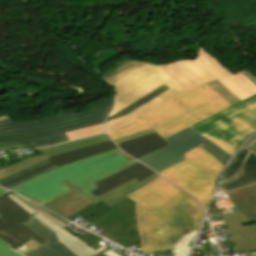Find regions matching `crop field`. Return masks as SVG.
I'll use <instances>...</instances> for the list:
<instances>
[{
  "label": "crop field",
  "mask_w": 256,
  "mask_h": 256,
  "mask_svg": "<svg viewBox=\"0 0 256 256\" xmlns=\"http://www.w3.org/2000/svg\"><path fill=\"white\" fill-rule=\"evenodd\" d=\"M127 196L136 202L140 248L145 254L174 246L199 228L204 215L193 196L161 176Z\"/></svg>",
  "instance_id": "obj_1"
},
{
  "label": "crop field",
  "mask_w": 256,
  "mask_h": 256,
  "mask_svg": "<svg viewBox=\"0 0 256 256\" xmlns=\"http://www.w3.org/2000/svg\"><path fill=\"white\" fill-rule=\"evenodd\" d=\"M135 163L137 162L117 148L66 166L58 167L29 182L22 185L19 184L20 186L10 190L44 205L73 191L61 182L66 179L79 191L97 203L101 200L89 192L96 188L93 183Z\"/></svg>",
  "instance_id": "obj_2"
},
{
  "label": "crop field",
  "mask_w": 256,
  "mask_h": 256,
  "mask_svg": "<svg viewBox=\"0 0 256 256\" xmlns=\"http://www.w3.org/2000/svg\"><path fill=\"white\" fill-rule=\"evenodd\" d=\"M113 97L83 111L57 113L39 119L13 121L9 115L0 116V146L27 143L31 149L68 141L64 132L103 123L112 107Z\"/></svg>",
  "instance_id": "obj_3"
},
{
  "label": "crop field",
  "mask_w": 256,
  "mask_h": 256,
  "mask_svg": "<svg viewBox=\"0 0 256 256\" xmlns=\"http://www.w3.org/2000/svg\"><path fill=\"white\" fill-rule=\"evenodd\" d=\"M228 106L230 104L203 84L140 116L144 124L111 137L115 140L153 128L164 139Z\"/></svg>",
  "instance_id": "obj_4"
},
{
  "label": "crop field",
  "mask_w": 256,
  "mask_h": 256,
  "mask_svg": "<svg viewBox=\"0 0 256 256\" xmlns=\"http://www.w3.org/2000/svg\"><path fill=\"white\" fill-rule=\"evenodd\" d=\"M242 101L191 126L228 154H232L245 140L256 132L249 123L256 120V86L242 73L218 79Z\"/></svg>",
  "instance_id": "obj_5"
},
{
  "label": "crop field",
  "mask_w": 256,
  "mask_h": 256,
  "mask_svg": "<svg viewBox=\"0 0 256 256\" xmlns=\"http://www.w3.org/2000/svg\"><path fill=\"white\" fill-rule=\"evenodd\" d=\"M105 79L117 90L110 116L164 84L170 89L157 96L163 101L182 92L159 68L147 62L131 61L117 68Z\"/></svg>",
  "instance_id": "obj_6"
},
{
  "label": "crop field",
  "mask_w": 256,
  "mask_h": 256,
  "mask_svg": "<svg viewBox=\"0 0 256 256\" xmlns=\"http://www.w3.org/2000/svg\"><path fill=\"white\" fill-rule=\"evenodd\" d=\"M183 155L187 160L160 173L195 195L206 209L224 165L200 146Z\"/></svg>",
  "instance_id": "obj_7"
},
{
  "label": "crop field",
  "mask_w": 256,
  "mask_h": 256,
  "mask_svg": "<svg viewBox=\"0 0 256 256\" xmlns=\"http://www.w3.org/2000/svg\"><path fill=\"white\" fill-rule=\"evenodd\" d=\"M78 216L94 222L93 224L104 231L99 235L124 247L140 242L135 202L128 197L110 207L102 201L95 205L91 204L67 219L72 221Z\"/></svg>",
  "instance_id": "obj_8"
},
{
  "label": "crop field",
  "mask_w": 256,
  "mask_h": 256,
  "mask_svg": "<svg viewBox=\"0 0 256 256\" xmlns=\"http://www.w3.org/2000/svg\"><path fill=\"white\" fill-rule=\"evenodd\" d=\"M227 195L241 211L222 216L235 243L228 250H256V184Z\"/></svg>",
  "instance_id": "obj_9"
},
{
  "label": "crop field",
  "mask_w": 256,
  "mask_h": 256,
  "mask_svg": "<svg viewBox=\"0 0 256 256\" xmlns=\"http://www.w3.org/2000/svg\"><path fill=\"white\" fill-rule=\"evenodd\" d=\"M165 141L170 145L152 152L138 160L160 172L185 160L181 154L199 145L224 165L230 156L206 137L198 135L190 127L165 139Z\"/></svg>",
  "instance_id": "obj_10"
},
{
  "label": "crop field",
  "mask_w": 256,
  "mask_h": 256,
  "mask_svg": "<svg viewBox=\"0 0 256 256\" xmlns=\"http://www.w3.org/2000/svg\"><path fill=\"white\" fill-rule=\"evenodd\" d=\"M158 67L183 91L214 78L232 75L202 47L194 60L176 61Z\"/></svg>",
  "instance_id": "obj_11"
},
{
  "label": "crop field",
  "mask_w": 256,
  "mask_h": 256,
  "mask_svg": "<svg viewBox=\"0 0 256 256\" xmlns=\"http://www.w3.org/2000/svg\"><path fill=\"white\" fill-rule=\"evenodd\" d=\"M0 214L4 217L0 220V238L16 248L29 239L38 243L45 242L21 223L32 217L7 197L0 196Z\"/></svg>",
  "instance_id": "obj_12"
},
{
  "label": "crop field",
  "mask_w": 256,
  "mask_h": 256,
  "mask_svg": "<svg viewBox=\"0 0 256 256\" xmlns=\"http://www.w3.org/2000/svg\"><path fill=\"white\" fill-rule=\"evenodd\" d=\"M6 196L8 198H10L12 201H14L16 204H18L25 211H27L29 214L36 217L38 220H40L42 223H44L46 226H48L51 230H53L56 233L59 242L63 243L66 247H68L77 256H94V255L98 254L99 251L107 248L104 245V246L98 248L96 251L93 250L88 245H86L85 243L80 241L76 236H73L72 234L68 233L66 230L60 228L55 223H53L52 221L47 219L45 216L38 213L30 205H28L26 202H24L22 199H20L15 194L9 193V194H6Z\"/></svg>",
  "instance_id": "obj_13"
},
{
  "label": "crop field",
  "mask_w": 256,
  "mask_h": 256,
  "mask_svg": "<svg viewBox=\"0 0 256 256\" xmlns=\"http://www.w3.org/2000/svg\"><path fill=\"white\" fill-rule=\"evenodd\" d=\"M114 148H117V146L112 142V140H110V141L102 142L99 144L91 145L88 147L80 148L77 150L69 151L66 153L58 154L55 156L47 157L52 163L42 166L32 172H29V173L21 176V177H18L14 180H11L9 182H6V183L0 184V185L5 187L7 185L18 182L26 177H29L33 174H36V173H38L46 168H49L53 165H55L56 167L66 165V164H69V163H72V162L105 152V151H108L111 149H114Z\"/></svg>",
  "instance_id": "obj_14"
},
{
  "label": "crop field",
  "mask_w": 256,
  "mask_h": 256,
  "mask_svg": "<svg viewBox=\"0 0 256 256\" xmlns=\"http://www.w3.org/2000/svg\"><path fill=\"white\" fill-rule=\"evenodd\" d=\"M22 224L47 241L46 243L38 246L24 256H76L63 244L58 242L54 232H52L49 228H47L34 217L30 218ZM96 256L105 255L98 254Z\"/></svg>",
  "instance_id": "obj_15"
},
{
  "label": "crop field",
  "mask_w": 256,
  "mask_h": 256,
  "mask_svg": "<svg viewBox=\"0 0 256 256\" xmlns=\"http://www.w3.org/2000/svg\"><path fill=\"white\" fill-rule=\"evenodd\" d=\"M152 170L149 168L137 163L125 170H122L110 177H107L97 183L95 185L98 187L97 189L91 191L96 197L109 191L110 189L136 177L138 182L143 180L144 178L153 174Z\"/></svg>",
  "instance_id": "obj_16"
},
{
  "label": "crop field",
  "mask_w": 256,
  "mask_h": 256,
  "mask_svg": "<svg viewBox=\"0 0 256 256\" xmlns=\"http://www.w3.org/2000/svg\"><path fill=\"white\" fill-rule=\"evenodd\" d=\"M63 182L75 191L44 205L45 207L65 217H68L91 203L95 204L93 201H91L89 198L79 192L76 188H74L66 180Z\"/></svg>",
  "instance_id": "obj_17"
},
{
  "label": "crop field",
  "mask_w": 256,
  "mask_h": 256,
  "mask_svg": "<svg viewBox=\"0 0 256 256\" xmlns=\"http://www.w3.org/2000/svg\"><path fill=\"white\" fill-rule=\"evenodd\" d=\"M166 145L168 143L156 133L118 144L123 151L136 159Z\"/></svg>",
  "instance_id": "obj_18"
},
{
  "label": "crop field",
  "mask_w": 256,
  "mask_h": 256,
  "mask_svg": "<svg viewBox=\"0 0 256 256\" xmlns=\"http://www.w3.org/2000/svg\"><path fill=\"white\" fill-rule=\"evenodd\" d=\"M252 183H256V154L251 151L240 172L232 179L222 183L219 190H233Z\"/></svg>",
  "instance_id": "obj_19"
},
{
  "label": "crop field",
  "mask_w": 256,
  "mask_h": 256,
  "mask_svg": "<svg viewBox=\"0 0 256 256\" xmlns=\"http://www.w3.org/2000/svg\"><path fill=\"white\" fill-rule=\"evenodd\" d=\"M160 175L158 174H153L150 177L144 179L141 182H137L136 178L97 197L99 199H101L102 201H104L106 204H108L109 206L118 202L119 200L127 197L126 195L139 189L140 187L144 186L145 184H147L148 182L152 181L153 179H155L156 177H158Z\"/></svg>",
  "instance_id": "obj_20"
},
{
  "label": "crop field",
  "mask_w": 256,
  "mask_h": 256,
  "mask_svg": "<svg viewBox=\"0 0 256 256\" xmlns=\"http://www.w3.org/2000/svg\"><path fill=\"white\" fill-rule=\"evenodd\" d=\"M106 140H110V138L106 134H100V135H96V136H92V137H88V138H84V139H80V140H76V141H72V142H68V143H64V144H60V145H56V146H52V147H48V148H44V149H40L39 151L45 157H47V156L55 155L58 153L66 152L69 150L77 149L80 147L88 146L91 144L99 143L102 141H106Z\"/></svg>",
  "instance_id": "obj_21"
},
{
  "label": "crop field",
  "mask_w": 256,
  "mask_h": 256,
  "mask_svg": "<svg viewBox=\"0 0 256 256\" xmlns=\"http://www.w3.org/2000/svg\"><path fill=\"white\" fill-rule=\"evenodd\" d=\"M163 101H161L159 98H154L152 100H150L149 102L143 104L142 106H140L139 108L135 109L134 111H132L131 113L120 117V118H116L112 121H109L107 123H105L106 126V130H110L113 129L117 126H120L124 123H127L131 120H133L134 118L142 115L143 113L147 112L148 110H150L151 108L155 107L156 105H158L159 103H161Z\"/></svg>",
  "instance_id": "obj_22"
},
{
  "label": "crop field",
  "mask_w": 256,
  "mask_h": 256,
  "mask_svg": "<svg viewBox=\"0 0 256 256\" xmlns=\"http://www.w3.org/2000/svg\"><path fill=\"white\" fill-rule=\"evenodd\" d=\"M197 231L184 236L174 247L166 251L169 252L173 250L178 256H188Z\"/></svg>",
  "instance_id": "obj_23"
},
{
  "label": "crop field",
  "mask_w": 256,
  "mask_h": 256,
  "mask_svg": "<svg viewBox=\"0 0 256 256\" xmlns=\"http://www.w3.org/2000/svg\"><path fill=\"white\" fill-rule=\"evenodd\" d=\"M167 89H169V88L166 87L165 85L160 87L159 89L155 90L154 92L150 93L149 95L145 96L144 98L140 99L139 101L133 103L132 105L128 106L127 108L123 109L122 111H120L117 114L113 115L112 117L108 118L107 121L112 120V119H114L116 117H119V116H123V115L131 112L135 108L139 107L140 105L149 101L150 99L156 97L157 95L161 94L162 92H164Z\"/></svg>",
  "instance_id": "obj_24"
},
{
  "label": "crop field",
  "mask_w": 256,
  "mask_h": 256,
  "mask_svg": "<svg viewBox=\"0 0 256 256\" xmlns=\"http://www.w3.org/2000/svg\"><path fill=\"white\" fill-rule=\"evenodd\" d=\"M249 148L246 146L238 153V155L235 157V159L232 161L229 169L226 171L224 178L222 180L225 181L231 177H233L240 169L245 157L247 156L249 152Z\"/></svg>",
  "instance_id": "obj_25"
},
{
  "label": "crop field",
  "mask_w": 256,
  "mask_h": 256,
  "mask_svg": "<svg viewBox=\"0 0 256 256\" xmlns=\"http://www.w3.org/2000/svg\"><path fill=\"white\" fill-rule=\"evenodd\" d=\"M210 88H212L216 93H218L222 98H224L231 105L240 101L233 93H231L227 88H225L217 80L210 83H206Z\"/></svg>",
  "instance_id": "obj_26"
},
{
  "label": "crop field",
  "mask_w": 256,
  "mask_h": 256,
  "mask_svg": "<svg viewBox=\"0 0 256 256\" xmlns=\"http://www.w3.org/2000/svg\"><path fill=\"white\" fill-rule=\"evenodd\" d=\"M102 132H104L103 124L67 132L66 135L68 136L69 140H72V139L90 136V135H94Z\"/></svg>",
  "instance_id": "obj_27"
},
{
  "label": "crop field",
  "mask_w": 256,
  "mask_h": 256,
  "mask_svg": "<svg viewBox=\"0 0 256 256\" xmlns=\"http://www.w3.org/2000/svg\"><path fill=\"white\" fill-rule=\"evenodd\" d=\"M9 192L0 188V195L6 194ZM1 218L2 216L0 215V219ZM8 247H10V245H8L5 241L0 239V256H20L17 253H15L13 250L9 249Z\"/></svg>",
  "instance_id": "obj_28"
},
{
  "label": "crop field",
  "mask_w": 256,
  "mask_h": 256,
  "mask_svg": "<svg viewBox=\"0 0 256 256\" xmlns=\"http://www.w3.org/2000/svg\"><path fill=\"white\" fill-rule=\"evenodd\" d=\"M38 244L37 242H35L34 240H29L26 243H24L23 245L19 246L18 248L14 249L16 251H18L21 254H26L27 252H29L30 250L34 249L35 247H37Z\"/></svg>",
  "instance_id": "obj_29"
},
{
  "label": "crop field",
  "mask_w": 256,
  "mask_h": 256,
  "mask_svg": "<svg viewBox=\"0 0 256 256\" xmlns=\"http://www.w3.org/2000/svg\"><path fill=\"white\" fill-rule=\"evenodd\" d=\"M47 163H50V161H49L48 159H46V160H44V161H42V162H40V163H38V164H36V165H34V166H32V167L26 169V170H24V171H22V172H20V173H18V174H16V175H13V176H11V177H7V178L2 179V180H0V183L9 181V180H11V179H14V178H16V177H18V176H21V175H23V174H25V173H27V172H29V171H32V170H34V169H36V168H38V167H40V166H42V165H45V164H47Z\"/></svg>",
  "instance_id": "obj_30"
},
{
  "label": "crop field",
  "mask_w": 256,
  "mask_h": 256,
  "mask_svg": "<svg viewBox=\"0 0 256 256\" xmlns=\"http://www.w3.org/2000/svg\"><path fill=\"white\" fill-rule=\"evenodd\" d=\"M79 239L82 240L83 242H85L86 244H88L89 246H91L95 242L99 241L101 238L96 236V235H93V234L87 232L86 234H84Z\"/></svg>",
  "instance_id": "obj_31"
},
{
  "label": "crop field",
  "mask_w": 256,
  "mask_h": 256,
  "mask_svg": "<svg viewBox=\"0 0 256 256\" xmlns=\"http://www.w3.org/2000/svg\"><path fill=\"white\" fill-rule=\"evenodd\" d=\"M140 124H142V122L137 118L136 120H134L132 122H129V123L125 124V125H122V126L116 128V129H114V130H112V131H110L108 133H109V135H111V134H114L116 132H119V131H122V130H125V129H128V128H131V127H134V126H137V125H140Z\"/></svg>",
  "instance_id": "obj_32"
},
{
  "label": "crop field",
  "mask_w": 256,
  "mask_h": 256,
  "mask_svg": "<svg viewBox=\"0 0 256 256\" xmlns=\"http://www.w3.org/2000/svg\"><path fill=\"white\" fill-rule=\"evenodd\" d=\"M23 200H25L28 204H30L34 209H36L37 211H39L40 213H42L43 215H45L47 218H49L50 220H52L53 222H55L57 225H59L60 227H65L67 224L51 217L50 215L47 214V212L43 211L42 209L36 207V205L30 203L28 200L22 198Z\"/></svg>",
  "instance_id": "obj_33"
},
{
  "label": "crop field",
  "mask_w": 256,
  "mask_h": 256,
  "mask_svg": "<svg viewBox=\"0 0 256 256\" xmlns=\"http://www.w3.org/2000/svg\"><path fill=\"white\" fill-rule=\"evenodd\" d=\"M150 133H154L153 129L148 130V131H145V132H142V133H139V134H136V135H133V136H130V137H127V138L115 140L114 142H115L116 144H118V143H121V142L130 140V139H134V138H137V137H140V136H144V135L150 134Z\"/></svg>",
  "instance_id": "obj_34"
},
{
  "label": "crop field",
  "mask_w": 256,
  "mask_h": 256,
  "mask_svg": "<svg viewBox=\"0 0 256 256\" xmlns=\"http://www.w3.org/2000/svg\"><path fill=\"white\" fill-rule=\"evenodd\" d=\"M130 61L129 59H124L116 64H114L113 66H111L108 70H106L101 76H103L104 78L110 73L112 72L114 69H116L117 67L123 65L124 63Z\"/></svg>",
  "instance_id": "obj_35"
},
{
  "label": "crop field",
  "mask_w": 256,
  "mask_h": 256,
  "mask_svg": "<svg viewBox=\"0 0 256 256\" xmlns=\"http://www.w3.org/2000/svg\"><path fill=\"white\" fill-rule=\"evenodd\" d=\"M53 168H55V166H53V167H51V168H49V169H47V170H45V171H43V172H41V173H39V174L33 175V176H31V177H29V178H27V179H25V180H23V181H21V182L15 183V184L10 185V186H7V187H5V188L10 189V188H12V187H14V186H16V185H19V184H22V183H24V182H26V181H29V180H31V179H33V178H35V177H37V176H39V175H41V174H43V173H45V172H47V171L53 169Z\"/></svg>",
  "instance_id": "obj_36"
},
{
  "label": "crop field",
  "mask_w": 256,
  "mask_h": 256,
  "mask_svg": "<svg viewBox=\"0 0 256 256\" xmlns=\"http://www.w3.org/2000/svg\"><path fill=\"white\" fill-rule=\"evenodd\" d=\"M246 146L256 153V136Z\"/></svg>",
  "instance_id": "obj_37"
},
{
  "label": "crop field",
  "mask_w": 256,
  "mask_h": 256,
  "mask_svg": "<svg viewBox=\"0 0 256 256\" xmlns=\"http://www.w3.org/2000/svg\"><path fill=\"white\" fill-rule=\"evenodd\" d=\"M254 85H256V78H254L253 76H251L248 73H243Z\"/></svg>",
  "instance_id": "obj_38"
},
{
  "label": "crop field",
  "mask_w": 256,
  "mask_h": 256,
  "mask_svg": "<svg viewBox=\"0 0 256 256\" xmlns=\"http://www.w3.org/2000/svg\"><path fill=\"white\" fill-rule=\"evenodd\" d=\"M103 254H105V255H107V256H121V255L115 253L114 251H112L111 249L108 250V251H106V252L103 253Z\"/></svg>",
  "instance_id": "obj_39"
},
{
  "label": "crop field",
  "mask_w": 256,
  "mask_h": 256,
  "mask_svg": "<svg viewBox=\"0 0 256 256\" xmlns=\"http://www.w3.org/2000/svg\"><path fill=\"white\" fill-rule=\"evenodd\" d=\"M41 208V207H40ZM43 209V208H42ZM46 211V210H45ZM48 212V211H47ZM48 214H50L51 216H53V217H55V218H57V219H59V220H61V221H63V222H65V223H69V222H67V221H65V220H63V219H61V218H59L58 216H56V215H54V214H52V213H50V212H48Z\"/></svg>",
  "instance_id": "obj_40"
},
{
  "label": "crop field",
  "mask_w": 256,
  "mask_h": 256,
  "mask_svg": "<svg viewBox=\"0 0 256 256\" xmlns=\"http://www.w3.org/2000/svg\"><path fill=\"white\" fill-rule=\"evenodd\" d=\"M251 251H246V256H250Z\"/></svg>",
  "instance_id": "obj_41"
},
{
  "label": "crop field",
  "mask_w": 256,
  "mask_h": 256,
  "mask_svg": "<svg viewBox=\"0 0 256 256\" xmlns=\"http://www.w3.org/2000/svg\"><path fill=\"white\" fill-rule=\"evenodd\" d=\"M250 124H252L253 126L256 127V121H254V122H252V123H250Z\"/></svg>",
  "instance_id": "obj_42"
}]
</instances>
